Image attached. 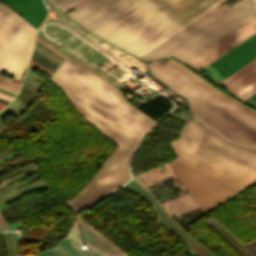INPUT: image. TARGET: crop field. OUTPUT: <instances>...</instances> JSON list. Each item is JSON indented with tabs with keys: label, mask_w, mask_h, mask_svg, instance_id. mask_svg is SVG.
<instances>
[{
	"label": "crop field",
	"mask_w": 256,
	"mask_h": 256,
	"mask_svg": "<svg viewBox=\"0 0 256 256\" xmlns=\"http://www.w3.org/2000/svg\"><path fill=\"white\" fill-rule=\"evenodd\" d=\"M53 4L55 7H57L59 10L64 12L71 4H74L77 6V9L71 12H68L66 15H71L75 11H77L79 8L90 2L91 0H46Z\"/></svg>",
	"instance_id": "crop-field-15"
},
{
	"label": "crop field",
	"mask_w": 256,
	"mask_h": 256,
	"mask_svg": "<svg viewBox=\"0 0 256 256\" xmlns=\"http://www.w3.org/2000/svg\"><path fill=\"white\" fill-rule=\"evenodd\" d=\"M0 84L4 85V86H0L1 89L7 90V91H10L13 93H17L18 88L20 86L18 84L11 83V82L3 80L1 78H0Z\"/></svg>",
	"instance_id": "crop-field-17"
},
{
	"label": "crop field",
	"mask_w": 256,
	"mask_h": 256,
	"mask_svg": "<svg viewBox=\"0 0 256 256\" xmlns=\"http://www.w3.org/2000/svg\"><path fill=\"white\" fill-rule=\"evenodd\" d=\"M29 64L33 65L34 67H36L37 69L43 71L44 73L48 74L51 76V74L53 72L49 71L48 69L44 68L43 66H41L40 64L36 63L35 61L33 60H30Z\"/></svg>",
	"instance_id": "crop-field-19"
},
{
	"label": "crop field",
	"mask_w": 256,
	"mask_h": 256,
	"mask_svg": "<svg viewBox=\"0 0 256 256\" xmlns=\"http://www.w3.org/2000/svg\"><path fill=\"white\" fill-rule=\"evenodd\" d=\"M0 98H3V99L8 100V101H10L12 99V97L6 96V95L1 94V93H0Z\"/></svg>",
	"instance_id": "crop-field-27"
},
{
	"label": "crop field",
	"mask_w": 256,
	"mask_h": 256,
	"mask_svg": "<svg viewBox=\"0 0 256 256\" xmlns=\"http://www.w3.org/2000/svg\"><path fill=\"white\" fill-rule=\"evenodd\" d=\"M256 16V13L254 15H252L251 17H249L248 19H246L245 21H243L242 23H240L239 25H237L236 27H234L233 29H231L230 31H228L227 33H225L224 35H222L221 37H219L218 39H216L215 41H213L212 43H210L209 45H207L206 47H204L203 49H201L200 51H198L197 53H195L194 55H192L191 57H189L188 59H186L183 62H188L189 60H191L192 58H194L195 56H197L198 54H200L201 52H203L204 50H206L207 48H209L210 46H212L213 44H215L216 42H218L219 40H221L223 37H225L226 35H228L229 33H231L232 31H234L235 29H237L238 27H240L241 25H243L244 23H246L247 21H249L250 19H252L253 17Z\"/></svg>",
	"instance_id": "crop-field-16"
},
{
	"label": "crop field",
	"mask_w": 256,
	"mask_h": 256,
	"mask_svg": "<svg viewBox=\"0 0 256 256\" xmlns=\"http://www.w3.org/2000/svg\"><path fill=\"white\" fill-rule=\"evenodd\" d=\"M254 87H256V81L254 83H252L251 85H249L248 87H246L245 89H243L242 91H240L239 93H237L236 97H241L242 95H244L245 93H247L248 91H250L251 89H253Z\"/></svg>",
	"instance_id": "crop-field-20"
},
{
	"label": "crop field",
	"mask_w": 256,
	"mask_h": 256,
	"mask_svg": "<svg viewBox=\"0 0 256 256\" xmlns=\"http://www.w3.org/2000/svg\"><path fill=\"white\" fill-rule=\"evenodd\" d=\"M36 39L39 40L41 43H43L45 46H47L48 48H50L51 50L55 51L56 53H58L59 55H61L62 57L65 58L64 55H62L60 52H58L56 49H54L52 46H50L48 43H46L45 41H43L42 39H40L39 37L36 36Z\"/></svg>",
	"instance_id": "crop-field-24"
},
{
	"label": "crop field",
	"mask_w": 256,
	"mask_h": 256,
	"mask_svg": "<svg viewBox=\"0 0 256 256\" xmlns=\"http://www.w3.org/2000/svg\"><path fill=\"white\" fill-rule=\"evenodd\" d=\"M4 106H6V105L0 103V110H2V108H3Z\"/></svg>",
	"instance_id": "crop-field-31"
},
{
	"label": "crop field",
	"mask_w": 256,
	"mask_h": 256,
	"mask_svg": "<svg viewBox=\"0 0 256 256\" xmlns=\"http://www.w3.org/2000/svg\"><path fill=\"white\" fill-rule=\"evenodd\" d=\"M223 0H220L219 2H217L216 4H214L213 6H211L210 8H208L207 10H205L203 13H201L200 15H198L197 17H195L194 19H192L191 21L187 22L186 24H184L183 26H181L180 28H178L177 30H175L174 32H172L171 34H169L168 36H166L165 38H163L162 40H160L159 42H157L156 44H154L153 46H151L150 48H148L147 50H145L144 52H142L141 54H139L137 57L141 56L142 54H144L145 52H147L148 50H150L151 48H153L154 46H156L157 44H159L160 42H162L163 40H165L166 38H168L169 36H171L172 34H174L175 32H177L178 30H180L181 28H183L184 26H186L187 24H189L190 22H192L193 20H195L196 18H198L199 16H201L202 14H204L205 12H207L208 10H210L211 8H213L214 6H216L217 4H219L220 2H222Z\"/></svg>",
	"instance_id": "crop-field-18"
},
{
	"label": "crop field",
	"mask_w": 256,
	"mask_h": 256,
	"mask_svg": "<svg viewBox=\"0 0 256 256\" xmlns=\"http://www.w3.org/2000/svg\"><path fill=\"white\" fill-rule=\"evenodd\" d=\"M176 1H178V0H168V1L165 2V3L170 6V5H172L173 3H175Z\"/></svg>",
	"instance_id": "crop-field-29"
},
{
	"label": "crop field",
	"mask_w": 256,
	"mask_h": 256,
	"mask_svg": "<svg viewBox=\"0 0 256 256\" xmlns=\"http://www.w3.org/2000/svg\"><path fill=\"white\" fill-rule=\"evenodd\" d=\"M146 67L184 98L190 112L208 126L240 144L256 147L255 111L213 88L171 59L163 66L155 60Z\"/></svg>",
	"instance_id": "crop-field-3"
},
{
	"label": "crop field",
	"mask_w": 256,
	"mask_h": 256,
	"mask_svg": "<svg viewBox=\"0 0 256 256\" xmlns=\"http://www.w3.org/2000/svg\"><path fill=\"white\" fill-rule=\"evenodd\" d=\"M164 2L167 1V0H163Z\"/></svg>",
	"instance_id": "crop-field-32"
},
{
	"label": "crop field",
	"mask_w": 256,
	"mask_h": 256,
	"mask_svg": "<svg viewBox=\"0 0 256 256\" xmlns=\"http://www.w3.org/2000/svg\"><path fill=\"white\" fill-rule=\"evenodd\" d=\"M51 81L86 121L119 146L89 184L65 202L74 212H79L130 179L129 161L156 122L127 103L116 87L68 56Z\"/></svg>",
	"instance_id": "crop-field-1"
},
{
	"label": "crop field",
	"mask_w": 256,
	"mask_h": 256,
	"mask_svg": "<svg viewBox=\"0 0 256 256\" xmlns=\"http://www.w3.org/2000/svg\"><path fill=\"white\" fill-rule=\"evenodd\" d=\"M162 4L160 0H140L92 33L108 41Z\"/></svg>",
	"instance_id": "crop-field-10"
},
{
	"label": "crop field",
	"mask_w": 256,
	"mask_h": 256,
	"mask_svg": "<svg viewBox=\"0 0 256 256\" xmlns=\"http://www.w3.org/2000/svg\"><path fill=\"white\" fill-rule=\"evenodd\" d=\"M185 22L164 4L108 42L136 56Z\"/></svg>",
	"instance_id": "crop-field-6"
},
{
	"label": "crop field",
	"mask_w": 256,
	"mask_h": 256,
	"mask_svg": "<svg viewBox=\"0 0 256 256\" xmlns=\"http://www.w3.org/2000/svg\"><path fill=\"white\" fill-rule=\"evenodd\" d=\"M182 239L197 256H216L183 228L174 232Z\"/></svg>",
	"instance_id": "crop-field-14"
},
{
	"label": "crop field",
	"mask_w": 256,
	"mask_h": 256,
	"mask_svg": "<svg viewBox=\"0 0 256 256\" xmlns=\"http://www.w3.org/2000/svg\"><path fill=\"white\" fill-rule=\"evenodd\" d=\"M256 92V88H254L253 90H251L250 92H248L247 94H245L244 96H242L241 99L242 101L245 100L246 98H248L249 96H251L252 94H254Z\"/></svg>",
	"instance_id": "crop-field-25"
},
{
	"label": "crop field",
	"mask_w": 256,
	"mask_h": 256,
	"mask_svg": "<svg viewBox=\"0 0 256 256\" xmlns=\"http://www.w3.org/2000/svg\"><path fill=\"white\" fill-rule=\"evenodd\" d=\"M34 28V27H33ZM27 22L0 5V72L20 80L36 32Z\"/></svg>",
	"instance_id": "crop-field-5"
},
{
	"label": "crop field",
	"mask_w": 256,
	"mask_h": 256,
	"mask_svg": "<svg viewBox=\"0 0 256 256\" xmlns=\"http://www.w3.org/2000/svg\"><path fill=\"white\" fill-rule=\"evenodd\" d=\"M244 102L256 107V93L251 97H249L248 99H246Z\"/></svg>",
	"instance_id": "crop-field-22"
},
{
	"label": "crop field",
	"mask_w": 256,
	"mask_h": 256,
	"mask_svg": "<svg viewBox=\"0 0 256 256\" xmlns=\"http://www.w3.org/2000/svg\"><path fill=\"white\" fill-rule=\"evenodd\" d=\"M75 240L88 246V250L73 245L68 236L59 241L51 250L38 253L39 256H127L125 252L98 233L79 218L70 234Z\"/></svg>",
	"instance_id": "crop-field-7"
},
{
	"label": "crop field",
	"mask_w": 256,
	"mask_h": 256,
	"mask_svg": "<svg viewBox=\"0 0 256 256\" xmlns=\"http://www.w3.org/2000/svg\"><path fill=\"white\" fill-rule=\"evenodd\" d=\"M190 1L191 0H179L178 2H176L175 4H173L170 7L173 8L176 11V10H178L179 8H181L182 6H184L185 4H187Z\"/></svg>",
	"instance_id": "crop-field-21"
},
{
	"label": "crop field",
	"mask_w": 256,
	"mask_h": 256,
	"mask_svg": "<svg viewBox=\"0 0 256 256\" xmlns=\"http://www.w3.org/2000/svg\"><path fill=\"white\" fill-rule=\"evenodd\" d=\"M254 58H256V33L203 69L217 84Z\"/></svg>",
	"instance_id": "crop-field-8"
},
{
	"label": "crop field",
	"mask_w": 256,
	"mask_h": 256,
	"mask_svg": "<svg viewBox=\"0 0 256 256\" xmlns=\"http://www.w3.org/2000/svg\"><path fill=\"white\" fill-rule=\"evenodd\" d=\"M256 32V17L223 38L221 41L189 61V66L193 68L205 67L234 46L251 36Z\"/></svg>",
	"instance_id": "crop-field-11"
},
{
	"label": "crop field",
	"mask_w": 256,
	"mask_h": 256,
	"mask_svg": "<svg viewBox=\"0 0 256 256\" xmlns=\"http://www.w3.org/2000/svg\"><path fill=\"white\" fill-rule=\"evenodd\" d=\"M256 80V59L249 64L220 82L218 85H224L231 94H236Z\"/></svg>",
	"instance_id": "crop-field-12"
},
{
	"label": "crop field",
	"mask_w": 256,
	"mask_h": 256,
	"mask_svg": "<svg viewBox=\"0 0 256 256\" xmlns=\"http://www.w3.org/2000/svg\"><path fill=\"white\" fill-rule=\"evenodd\" d=\"M217 1L219 0H193L176 12L189 21Z\"/></svg>",
	"instance_id": "crop-field-13"
},
{
	"label": "crop field",
	"mask_w": 256,
	"mask_h": 256,
	"mask_svg": "<svg viewBox=\"0 0 256 256\" xmlns=\"http://www.w3.org/2000/svg\"><path fill=\"white\" fill-rule=\"evenodd\" d=\"M32 165H34V163H32V164H30V165H28V166H25V167H23V168H21V169H19V170H16V171H14V172H12V173H10V174H8V175H6V176L0 178V180L3 179V178H5V177H7V176H10V175H12V174L18 172V171H21V170H23V169H25V168H27V167H30V166H32Z\"/></svg>",
	"instance_id": "crop-field-26"
},
{
	"label": "crop field",
	"mask_w": 256,
	"mask_h": 256,
	"mask_svg": "<svg viewBox=\"0 0 256 256\" xmlns=\"http://www.w3.org/2000/svg\"><path fill=\"white\" fill-rule=\"evenodd\" d=\"M171 169L206 213L256 181V150L230 142L197 120L171 143Z\"/></svg>",
	"instance_id": "crop-field-2"
},
{
	"label": "crop field",
	"mask_w": 256,
	"mask_h": 256,
	"mask_svg": "<svg viewBox=\"0 0 256 256\" xmlns=\"http://www.w3.org/2000/svg\"><path fill=\"white\" fill-rule=\"evenodd\" d=\"M2 226H6V225H5L4 221L0 217V227H2Z\"/></svg>",
	"instance_id": "crop-field-30"
},
{
	"label": "crop field",
	"mask_w": 256,
	"mask_h": 256,
	"mask_svg": "<svg viewBox=\"0 0 256 256\" xmlns=\"http://www.w3.org/2000/svg\"><path fill=\"white\" fill-rule=\"evenodd\" d=\"M256 1V0H255Z\"/></svg>",
	"instance_id": "crop-field-33"
},
{
	"label": "crop field",
	"mask_w": 256,
	"mask_h": 256,
	"mask_svg": "<svg viewBox=\"0 0 256 256\" xmlns=\"http://www.w3.org/2000/svg\"><path fill=\"white\" fill-rule=\"evenodd\" d=\"M255 12L252 0H243L229 10L219 4L139 58L172 55L183 61Z\"/></svg>",
	"instance_id": "crop-field-4"
},
{
	"label": "crop field",
	"mask_w": 256,
	"mask_h": 256,
	"mask_svg": "<svg viewBox=\"0 0 256 256\" xmlns=\"http://www.w3.org/2000/svg\"><path fill=\"white\" fill-rule=\"evenodd\" d=\"M137 1L93 0L69 17L92 32Z\"/></svg>",
	"instance_id": "crop-field-9"
},
{
	"label": "crop field",
	"mask_w": 256,
	"mask_h": 256,
	"mask_svg": "<svg viewBox=\"0 0 256 256\" xmlns=\"http://www.w3.org/2000/svg\"><path fill=\"white\" fill-rule=\"evenodd\" d=\"M32 169H34V166H32V167H30V168H28V169H25V170H23V171H21V172H19V173L23 174V173H25V172H27V171H30V170H32ZM19 173H16V174H14V175H12V176H10V177H8V178L2 180V181L6 182V181H8V180H10V179H12V178H14V177L20 175Z\"/></svg>",
	"instance_id": "crop-field-23"
},
{
	"label": "crop field",
	"mask_w": 256,
	"mask_h": 256,
	"mask_svg": "<svg viewBox=\"0 0 256 256\" xmlns=\"http://www.w3.org/2000/svg\"><path fill=\"white\" fill-rule=\"evenodd\" d=\"M0 77H1V78H4V79H7V80H9V81H12V82L18 83V84H20V83H21V82H19V81H17V80L8 79V78H6V77H4V76H2V75H0Z\"/></svg>",
	"instance_id": "crop-field-28"
}]
</instances>
